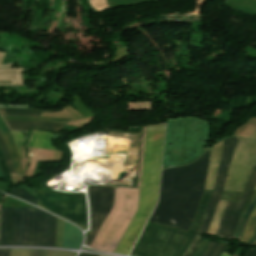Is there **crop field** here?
<instances>
[{
  "mask_svg": "<svg viewBox=\"0 0 256 256\" xmlns=\"http://www.w3.org/2000/svg\"><path fill=\"white\" fill-rule=\"evenodd\" d=\"M209 151L191 165L163 170L159 203L149 221L187 231L202 195Z\"/></svg>",
  "mask_w": 256,
  "mask_h": 256,
  "instance_id": "1",
  "label": "crop field"
},
{
  "mask_svg": "<svg viewBox=\"0 0 256 256\" xmlns=\"http://www.w3.org/2000/svg\"><path fill=\"white\" fill-rule=\"evenodd\" d=\"M165 124L147 126L138 209L115 252L128 254L157 202Z\"/></svg>",
  "mask_w": 256,
  "mask_h": 256,
  "instance_id": "2",
  "label": "crop field"
},
{
  "mask_svg": "<svg viewBox=\"0 0 256 256\" xmlns=\"http://www.w3.org/2000/svg\"><path fill=\"white\" fill-rule=\"evenodd\" d=\"M213 190H204L200 205L188 232L147 223L132 256H182L196 234Z\"/></svg>",
  "mask_w": 256,
  "mask_h": 256,
  "instance_id": "3",
  "label": "crop field"
},
{
  "mask_svg": "<svg viewBox=\"0 0 256 256\" xmlns=\"http://www.w3.org/2000/svg\"><path fill=\"white\" fill-rule=\"evenodd\" d=\"M210 130L208 122L194 117L167 119L162 169L196 160Z\"/></svg>",
  "mask_w": 256,
  "mask_h": 256,
  "instance_id": "4",
  "label": "crop field"
},
{
  "mask_svg": "<svg viewBox=\"0 0 256 256\" xmlns=\"http://www.w3.org/2000/svg\"><path fill=\"white\" fill-rule=\"evenodd\" d=\"M41 211L34 208H2L0 246H49L52 216Z\"/></svg>",
  "mask_w": 256,
  "mask_h": 256,
  "instance_id": "5",
  "label": "crop field"
},
{
  "mask_svg": "<svg viewBox=\"0 0 256 256\" xmlns=\"http://www.w3.org/2000/svg\"><path fill=\"white\" fill-rule=\"evenodd\" d=\"M145 130H143L140 154V167L137 189L115 187L114 206L95 238L91 248L114 252L138 204L139 185L144 149Z\"/></svg>",
  "mask_w": 256,
  "mask_h": 256,
  "instance_id": "6",
  "label": "crop field"
},
{
  "mask_svg": "<svg viewBox=\"0 0 256 256\" xmlns=\"http://www.w3.org/2000/svg\"><path fill=\"white\" fill-rule=\"evenodd\" d=\"M34 189V188H33ZM38 206L87 228L85 195L48 193L34 189Z\"/></svg>",
  "mask_w": 256,
  "mask_h": 256,
  "instance_id": "7",
  "label": "crop field"
},
{
  "mask_svg": "<svg viewBox=\"0 0 256 256\" xmlns=\"http://www.w3.org/2000/svg\"><path fill=\"white\" fill-rule=\"evenodd\" d=\"M255 160L256 131L250 138H239L223 190L242 192Z\"/></svg>",
  "mask_w": 256,
  "mask_h": 256,
  "instance_id": "8",
  "label": "crop field"
},
{
  "mask_svg": "<svg viewBox=\"0 0 256 256\" xmlns=\"http://www.w3.org/2000/svg\"><path fill=\"white\" fill-rule=\"evenodd\" d=\"M237 138H228L226 140H224V144H223V149H222V155H221V161H220V165L218 168V173H217V178H216V183H215V187H214V192L211 196L210 202L208 204L207 210L204 214L201 226L192 242V244L190 245V247L188 248L187 252L185 253L184 256H192V254L194 253L195 249L197 248V246L199 245V243L202 240V237L200 236L203 233H206L208 226L210 224L212 215L214 213L215 207L219 201L221 192H222V188L224 185V181L226 178V174H227V170H228V166H229V162L232 156V153L236 147Z\"/></svg>",
  "mask_w": 256,
  "mask_h": 256,
  "instance_id": "9",
  "label": "crop field"
},
{
  "mask_svg": "<svg viewBox=\"0 0 256 256\" xmlns=\"http://www.w3.org/2000/svg\"><path fill=\"white\" fill-rule=\"evenodd\" d=\"M88 195L91 231L86 238V245L91 246L113 206L114 187H91L88 188Z\"/></svg>",
  "mask_w": 256,
  "mask_h": 256,
  "instance_id": "10",
  "label": "crop field"
},
{
  "mask_svg": "<svg viewBox=\"0 0 256 256\" xmlns=\"http://www.w3.org/2000/svg\"><path fill=\"white\" fill-rule=\"evenodd\" d=\"M251 193H252V191L244 192L242 194L237 206H236V203H233V202L228 203L226 210L222 216L221 223L215 233L216 236L231 238L233 231L236 227V223L239 218V215L243 209V206H244L247 198L250 196ZM235 206H236L235 212L233 214L232 219L230 220L231 214H232Z\"/></svg>",
  "mask_w": 256,
  "mask_h": 256,
  "instance_id": "11",
  "label": "crop field"
},
{
  "mask_svg": "<svg viewBox=\"0 0 256 256\" xmlns=\"http://www.w3.org/2000/svg\"><path fill=\"white\" fill-rule=\"evenodd\" d=\"M222 143L223 141L220 143H217L214 147L210 149V164H209V169H208L204 189H213L216 170L218 168L219 160H220Z\"/></svg>",
  "mask_w": 256,
  "mask_h": 256,
  "instance_id": "12",
  "label": "crop field"
},
{
  "mask_svg": "<svg viewBox=\"0 0 256 256\" xmlns=\"http://www.w3.org/2000/svg\"><path fill=\"white\" fill-rule=\"evenodd\" d=\"M0 133L5 141L7 149L12 157V162H13V166L15 168L16 173L23 174L13 138L1 117H0Z\"/></svg>",
  "mask_w": 256,
  "mask_h": 256,
  "instance_id": "13",
  "label": "crop field"
},
{
  "mask_svg": "<svg viewBox=\"0 0 256 256\" xmlns=\"http://www.w3.org/2000/svg\"><path fill=\"white\" fill-rule=\"evenodd\" d=\"M82 234L78 228L65 222L62 247L78 248Z\"/></svg>",
  "mask_w": 256,
  "mask_h": 256,
  "instance_id": "14",
  "label": "crop field"
},
{
  "mask_svg": "<svg viewBox=\"0 0 256 256\" xmlns=\"http://www.w3.org/2000/svg\"><path fill=\"white\" fill-rule=\"evenodd\" d=\"M51 136L52 134L47 132L32 131L28 147L56 150L51 144Z\"/></svg>",
  "mask_w": 256,
  "mask_h": 256,
  "instance_id": "15",
  "label": "crop field"
},
{
  "mask_svg": "<svg viewBox=\"0 0 256 256\" xmlns=\"http://www.w3.org/2000/svg\"><path fill=\"white\" fill-rule=\"evenodd\" d=\"M8 127L11 130H27L30 127L34 126H44V127H52L55 130H50L46 128H35L34 130H50V131H57L59 128L63 127L64 125L60 124H50V123H35V122H16V121H6Z\"/></svg>",
  "mask_w": 256,
  "mask_h": 256,
  "instance_id": "16",
  "label": "crop field"
},
{
  "mask_svg": "<svg viewBox=\"0 0 256 256\" xmlns=\"http://www.w3.org/2000/svg\"><path fill=\"white\" fill-rule=\"evenodd\" d=\"M256 205V193L252 199V201L250 202V204L248 205V207L246 208L243 216L241 217V219L239 220V223L235 229V232L233 235H235L234 238H237L239 239L244 228H245V224H246V220H247V217L249 215V213L252 211V209L254 208V206Z\"/></svg>",
  "mask_w": 256,
  "mask_h": 256,
  "instance_id": "17",
  "label": "crop field"
},
{
  "mask_svg": "<svg viewBox=\"0 0 256 256\" xmlns=\"http://www.w3.org/2000/svg\"><path fill=\"white\" fill-rule=\"evenodd\" d=\"M226 201H222L220 200L219 201V204H218V207L215 211V214L212 218V221H211V224L209 226V229L207 231V233H210V234H214L216 229H217V226H218V223H219V219H220V216L222 214V211L225 209L226 207Z\"/></svg>",
  "mask_w": 256,
  "mask_h": 256,
  "instance_id": "18",
  "label": "crop field"
},
{
  "mask_svg": "<svg viewBox=\"0 0 256 256\" xmlns=\"http://www.w3.org/2000/svg\"><path fill=\"white\" fill-rule=\"evenodd\" d=\"M254 190H256V187H255ZM255 225H256V207L253 210V212H252V214H251V216H250V218L248 220V223L246 225L245 232H244L243 237L241 238V241L246 242V243L249 242V240L251 238V235L253 233Z\"/></svg>",
  "mask_w": 256,
  "mask_h": 256,
  "instance_id": "19",
  "label": "crop field"
},
{
  "mask_svg": "<svg viewBox=\"0 0 256 256\" xmlns=\"http://www.w3.org/2000/svg\"><path fill=\"white\" fill-rule=\"evenodd\" d=\"M4 120H17V121H36V122H52L66 124L69 121H54L51 119H41L39 117H19V116H3Z\"/></svg>",
  "mask_w": 256,
  "mask_h": 256,
  "instance_id": "20",
  "label": "crop field"
},
{
  "mask_svg": "<svg viewBox=\"0 0 256 256\" xmlns=\"http://www.w3.org/2000/svg\"><path fill=\"white\" fill-rule=\"evenodd\" d=\"M11 193L25 201L37 204L38 200H36L34 197L29 195L25 190H19V189H13L11 190Z\"/></svg>",
  "mask_w": 256,
  "mask_h": 256,
  "instance_id": "21",
  "label": "crop field"
},
{
  "mask_svg": "<svg viewBox=\"0 0 256 256\" xmlns=\"http://www.w3.org/2000/svg\"><path fill=\"white\" fill-rule=\"evenodd\" d=\"M41 111H52L43 109H0V113H41Z\"/></svg>",
  "mask_w": 256,
  "mask_h": 256,
  "instance_id": "22",
  "label": "crop field"
},
{
  "mask_svg": "<svg viewBox=\"0 0 256 256\" xmlns=\"http://www.w3.org/2000/svg\"><path fill=\"white\" fill-rule=\"evenodd\" d=\"M0 149H1L3 155H4L5 159H6V163H7V166L9 168V170H10V173H15L14 172V168H13L12 163H11V160H10V157H9V154L7 152L6 146L4 144V141H3L2 137H1V135H0Z\"/></svg>",
  "mask_w": 256,
  "mask_h": 256,
  "instance_id": "23",
  "label": "crop field"
},
{
  "mask_svg": "<svg viewBox=\"0 0 256 256\" xmlns=\"http://www.w3.org/2000/svg\"><path fill=\"white\" fill-rule=\"evenodd\" d=\"M255 184H256V167L254 166L244 191L253 190Z\"/></svg>",
  "mask_w": 256,
  "mask_h": 256,
  "instance_id": "24",
  "label": "crop field"
},
{
  "mask_svg": "<svg viewBox=\"0 0 256 256\" xmlns=\"http://www.w3.org/2000/svg\"><path fill=\"white\" fill-rule=\"evenodd\" d=\"M10 132H11V134L13 135L15 144H16L17 149H18V152H19V156H20V158H21L22 155H21V152H20V149H19V146H18L17 141H19L20 146H22L23 139H24V135H23L22 132H18V131H10Z\"/></svg>",
  "mask_w": 256,
  "mask_h": 256,
  "instance_id": "25",
  "label": "crop field"
},
{
  "mask_svg": "<svg viewBox=\"0 0 256 256\" xmlns=\"http://www.w3.org/2000/svg\"><path fill=\"white\" fill-rule=\"evenodd\" d=\"M74 255L75 254L60 252V251L42 250L41 252V256H74Z\"/></svg>",
  "mask_w": 256,
  "mask_h": 256,
  "instance_id": "26",
  "label": "crop field"
},
{
  "mask_svg": "<svg viewBox=\"0 0 256 256\" xmlns=\"http://www.w3.org/2000/svg\"><path fill=\"white\" fill-rule=\"evenodd\" d=\"M209 243L210 240L203 239V241L200 243L199 247L197 248L193 256H201Z\"/></svg>",
  "mask_w": 256,
  "mask_h": 256,
  "instance_id": "27",
  "label": "crop field"
},
{
  "mask_svg": "<svg viewBox=\"0 0 256 256\" xmlns=\"http://www.w3.org/2000/svg\"><path fill=\"white\" fill-rule=\"evenodd\" d=\"M56 223H57V218L53 216L50 246H53L55 242Z\"/></svg>",
  "mask_w": 256,
  "mask_h": 256,
  "instance_id": "28",
  "label": "crop field"
},
{
  "mask_svg": "<svg viewBox=\"0 0 256 256\" xmlns=\"http://www.w3.org/2000/svg\"><path fill=\"white\" fill-rule=\"evenodd\" d=\"M0 165H1V168H2V170H3L5 179L10 180V174H9V172H8V169H7V167H6V163H5V161H4V159H3L2 155H1V153H0Z\"/></svg>",
  "mask_w": 256,
  "mask_h": 256,
  "instance_id": "29",
  "label": "crop field"
},
{
  "mask_svg": "<svg viewBox=\"0 0 256 256\" xmlns=\"http://www.w3.org/2000/svg\"><path fill=\"white\" fill-rule=\"evenodd\" d=\"M218 244L216 242H211L206 252L203 254V256H211L212 252L214 251L215 247Z\"/></svg>",
  "mask_w": 256,
  "mask_h": 256,
  "instance_id": "30",
  "label": "crop field"
},
{
  "mask_svg": "<svg viewBox=\"0 0 256 256\" xmlns=\"http://www.w3.org/2000/svg\"><path fill=\"white\" fill-rule=\"evenodd\" d=\"M226 244H219L215 251L213 252L212 256H220L225 248Z\"/></svg>",
  "mask_w": 256,
  "mask_h": 256,
  "instance_id": "31",
  "label": "crop field"
},
{
  "mask_svg": "<svg viewBox=\"0 0 256 256\" xmlns=\"http://www.w3.org/2000/svg\"><path fill=\"white\" fill-rule=\"evenodd\" d=\"M10 249H0V256H9Z\"/></svg>",
  "mask_w": 256,
  "mask_h": 256,
  "instance_id": "32",
  "label": "crop field"
},
{
  "mask_svg": "<svg viewBox=\"0 0 256 256\" xmlns=\"http://www.w3.org/2000/svg\"><path fill=\"white\" fill-rule=\"evenodd\" d=\"M246 256H256V249H249Z\"/></svg>",
  "mask_w": 256,
  "mask_h": 256,
  "instance_id": "33",
  "label": "crop field"
},
{
  "mask_svg": "<svg viewBox=\"0 0 256 256\" xmlns=\"http://www.w3.org/2000/svg\"><path fill=\"white\" fill-rule=\"evenodd\" d=\"M255 240H256V227H255L254 233H253L252 238L249 243H253V242H255Z\"/></svg>",
  "mask_w": 256,
  "mask_h": 256,
  "instance_id": "34",
  "label": "crop field"
},
{
  "mask_svg": "<svg viewBox=\"0 0 256 256\" xmlns=\"http://www.w3.org/2000/svg\"><path fill=\"white\" fill-rule=\"evenodd\" d=\"M1 115H30V116H39L40 114H1Z\"/></svg>",
  "mask_w": 256,
  "mask_h": 256,
  "instance_id": "35",
  "label": "crop field"
},
{
  "mask_svg": "<svg viewBox=\"0 0 256 256\" xmlns=\"http://www.w3.org/2000/svg\"><path fill=\"white\" fill-rule=\"evenodd\" d=\"M79 256H95V255L80 254Z\"/></svg>",
  "mask_w": 256,
  "mask_h": 256,
  "instance_id": "36",
  "label": "crop field"
},
{
  "mask_svg": "<svg viewBox=\"0 0 256 256\" xmlns=\"http://www.w3.org/2000/svg\"><path fill=\"white\" fill-rule=\"evenodd\" d=\"M221 256H230V255L223 252V254Z\"/></svg>",
  "mask_w": 256,
  "mask_h": 256,
  "instance_id": "37",
  "label": "crop field"
},
{
  "mask_svg": "<svg viewBox=\"0 0 256 256\" xmlns=\"http://www.w3.org/2000/svg\"><path fill=\"white\" fill-rule=\"evenodd\" d=\"M0 177H1V178H3V175H2L1 169H0Z\"/></svg>",
  "mask_w": 256,
  "mask_h": 256,
  "instance_id": "38",
  "label": "crop field"
},
{
  "mask_svg": "<svg viewBox=\"0 0 256 256\" xmlns=\"http://www.w3.org/2000/svg\"><path fill=\"white\" fill-rule=\"evenodd\" d=\"M0 198H1V196H0Z\"/></svg>",
  "mask_w": 256,
  "mask_h": 256,
  "instance_id": "39",
  "label": "crop field"
},
{
  "mask_svg": "<svg viewBox=\"0 0 256 256\" xmlns=\"http://www.w3.org/2000/svg\"><path fill=\"white\" fill-rule=\"evenodd\" d=\"M233 256H235V255H233Z\"/></svg>",
  "mask_w": 256,
  "mask_h": 256,
  "instance_id": "40",
  "label": "crop field"
}]
</instances>
